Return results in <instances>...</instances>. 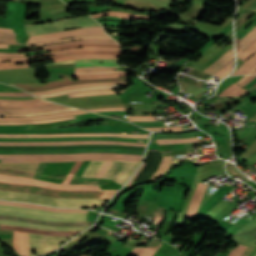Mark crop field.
Wrapping results in <instances>:
<instances>
[{"label":"crop field","instance_id":"crop-field-48","mask_svg":"<svg viewBox=\"0 0 256 256\" xmlns=\"http://www.w3.org/2000/svg\"><path fill=\"white\" fill-rule=\"evenodd\" d=\"M111 161H105L104 165L102 166L100 172L98 173L97 177H103L104 173L106 172L108 166L110 165Z\"/></svg>","mask_w":256,"mask_h":256},{"label":"crop field","instance_id":"crop-field-38","mask_svg":"<svg viewBox=\"0 0 256 256\" xmlns=\"http://www.w3.org/2000/svg\"><path fill=\"white\" fill-rule=\"evenodd\" d=\"M71 118H75V116L59 118V119H52V120H44V121H33V122H0V124H35V123H46V122L71 119Z\"/></svg>","mask_w":256,"mask_h":256},{"label":"crop field","instance_id":"crop-field-45","mask_svg":"<svg viewBox=\"0 0 256 256\" xmlns=\"http://www.w3.org/2000/svg\"><path fill=\"white\" fill-rule=\"evenodd\" d=\"M246 246L238 245L234 250L231 251L229 256H241Z\"/></svg>","mask_w":256,"mask_h":256},{"label":"crop field","instance_id":"crop-field-11","mask_svg":"<svg viewBox=\"0 0 256 256\" xmlns=\"http://www.w3.org/2000/svg\"><path fill=\"white\" fill-rule=\"evenodd\" d=\"M83 46L119 47V45L115 41L80 40V41L41 46L36 48L56 51L64 48L83 47Z\"/></svg>","mask_w":256,"mask_h":256},{"label":"crop field","instance_id":"crop-field-12","mask_svg":"<svg viewBox=\"0 0 256 256\" xmlns=\"http://www.w3.org/2000/svg\"><path fill=\"white\" fill-rule=\"evenodd\" d=\"M57 136H123L148 138V134H116V133H74V134H26V135H12L0 134V137H57Z\"/></svg>","mask_w":256,"mask_h":256},{"label":"crop field","instance_id":"crop-field-32","mask_svg":"<svg viewBox=\"0 0 256 256\" xmlns=\"http://www.w3.org/2000/svg\"><path fill=\"white\" fill-rule=\"evenodd\" d=\"M16 34L0 32V43L3 44H18L14 37Z\"/></svg>","mask_w":256,"mask_h":256},{"label":"crop field","instance_id":"crop-field-4","mask_svg":"<svg viewBox=\"0 0 256 256\" xmlns=\"http://www.w3.org/2000/svg\"><path fill=\"white\" fill-rule=\"evenodd\" d=\"M0 214L18 215L51 221H86V213L46 212L10 206H0Z\"/></svg>","mask_w":256,"mask_h":256},{"label":"crop field","instance_id":"crop-field-55","mask_svg":"<svg viewBox=\"0 0 256 256\" xmlns=\"http://www.w3.org/2000/svg\"><path fill=\"white\" fill-rule=\"evenodd\" d=\"M254 249V246L249 245L247 249L244 251L242 256H248V254Z\"/></svg>","mask_w":256,"mask_h":256},{"label":"crop field","instance_id":"crop-field-7","mask_svg":"<svg viewBox=\"0 0 256 256\" xmlns=\"http://www.w3.org/2000/svg\"><path fill=\"white\" fill-rule=\"evenodd\" d=\"M126 80V77L113 78V79H95V80H79L73 81L72 76L62 77V80H57L49 83H14L11 85L18 86L27 91H36V90H47L55 87H61L66 85L86 83V82H112V81H123Z\"/></svg>","mask_w":256,"mask_h":256},{"label":"crop field","instance_id":"crop-field-52","mask_svg":"<svg viewBox=\"0 0 256 256\" xmlns=\"http://www.w3.org/2000/svg\"><path fill=\"white\" fill-rule=\"evenodd\" d=\"M22 67H29V65L25 64V65L4 66V67H0V69H11V68H22Z\"/></svg>","mask_w":256,"mask_h":256},{"label":"crop field","instance_id":"crop-field-36","mask_svg":"<svg viewBox=\"0 0 256 256\" xmlns=\"http://www.w3.org/2000/svg\"><path fill=\"white\" fill-rule=\"evenodd\" d=\"M158 144H166V143H181V142H198L196 137L188 138V139H168V140H156Z\"/></svg>","mask_w":256,"mask_h":256},{"label":"crop field","instance_id":"crop-field-41","mask_svg":"<svg viewBox=\"0 0 256 256\" xmlns=\"http://www.w3.org/2000/svg\"><path fill=\"white\" fill-rule=\"evenodd\" d=\"M53 54H59V53L51 52V53L40 54V55H34V56H28V57H22V58H4V59H0V61H5V60H10V61H15V60H28V59H30V58L41 57V56H45V55H53Z\"/></svg>","mask_w":256,"mask_h":256},{"label":"crop field","instance_id":"crop-field-21","mask_svg":"<svg viewBox=\"0 0 256 256\" xmlns=\"http://www.w3.org/2000/svg\"><path fill=\"white\" fill-rule=\"evenodd\" d=\"M233 59V49L229 50L224 56L218 59L216 62L207 67L204 72L208 73H216L220 69H222L225 65H227Z\"/></svg>","mask_w":256,"mask_h":256},{"label":"crop field","instance_id":"crop-field-17","mask_svg":"<svg viewBox=\"0 0 256 256\" xmlns=\"http://www.w3.org/2000/svg\"><path fill=\"white\" fill-rule=\"evenodd\" d=\"M0 205L23 206V207H29V208L38 209V210L58 211V212H87V210H83V209H58V208H53L48 206L10 202V201H0Z\"/></svg>","mask_w":256,"mask_h":256},{"label":"crop field","instance_id":"crop-field-46","mask_svg":"<svg viewBox=\"0 0 256 256\" xmlns=\"http://www.w3.org/2000/svg\"><path fill=\"white\" fill-rule=\"evenodd\" d=\"M29 125H0V129H27Z\"/></svg>","mask_w":256,"mask_h":256},{"label":"crop field","instance_id":"crop-field-24","mask_svg":"<svg viewBox=\"0 0 256 256\" xmlns=\"http://www.w3.org/2000/svg\"><path fill=\"white\" fill-rule=\"evenodd\" d=\"M108 15L119 16V17L131 19V20H148L149 19V17L147 16H139V15H133V14H127V13H121V12H105L100 14H93L92 16L94 18H98V17H104Z\"/></svg>","mask_w":256,"mask_h":256},{"label":"crop field","instance_id":"crop-field-3","mask_svg":"<svg viewBox=\"0 0 256 256\" xmlns=\"http://www.w3.org/2000/svg\"><path fill=\"white\" fill-rule=\"evenodd\" d=\"M0 199L31 202L35 204L49 205L54 207H88L101 206L105 204V200L101 199H60L32 194L12 193L6 191H0Z\"/></svg>","mask_w":256,"mask_h":256},{"label":"crop field","instance_id":"crop-field-33","mask_svg":"<svg viewBox=\"0 0 256 256\" xmlns=\"http://www.w3.org/2000/svg\"><path fill=\"white\" fill-rule=\"evenodd\" d=\"M254 52H256V41L253 42L248 48H246L240 55L237 57L241 58L242 60L248 59Z\"/></svg>","mask_w":256,"mask_h":256},{"label":"crop field","instance_id":"crop-field-71","mask_svg":"<svg viewBox=\"0 0 256 256\" xmlns=\"http://www.w3.org/2000/svg\"><path fill=\"white\" fill-rule=\"evenodd\" d=\"M256 256V255H255Z\"/></svg>","mask_w":256,"mask_h":256},{"label":"crop field","instance_id":"crop-field-20","mask_svg":"<svg viewBox=\"0 0 256 256\" xmlns=\"http://www.w3.org/2000/svg\"><path fill=\"white\" fill-rule=\"evenodd\" d=\"M0 229H13V230H18V231L40 233V234H46V235H51V236L75 235L78 232H80V231H74V232H52V231H46V230L29 229V228H23V227H17V226H9V225H0Z\"/></svg>","mask_w":256,"mask_h":256},{"label":"crop field","instance_id":"crop-field-53","mask_svg":"<svg viewBox=\"0 0 256 256\" xmlns=\"http://www.w3.org/2000/svg\"><path fill=\"white\" fill-rule=\"evenodd\" d=\"M82 161H78V162H75L74 166L72 167V169L70 170L71 173H74L78 170V168L80 167Z\"/></svg>","mask_w":256,"mask_h":256},{"label":"crop field","instance_id":"crop-field-5","mask_svg":"<svg viewBox=\"0 0 256 256\" xmlns=\"http://www.w3.org/2000/svg\"><path fill=\"white\" fill-rule=\"evenodd\" d=\"M101 26L93 18L86 16L80 18L65 19L57 22L25 26L28 36L62 31L73 27Z\"/></svg>","mask_w":256,"mask_h":256},{"label":"crop field","instance_id":"crop-field-35","mask_svg":"<svg viewBox=\"0 0 256 256\" xmlns=\"http://www.w3.org/2000/svg\"><path fill=\"white\" fill-rule=\"evenodd\" d=\"M80 50H110V51H120V48H101V47H90V48H73V49H65L57 52L65 53L71 51H80Z\"/></svg>","mask_w":256,"mask_h":256},{"label":"crop field","instance_id":"crop-field-58","mask_svg":"<svg viewBox=\"0 0 256 256\" xmlns=\"http://www.w3.org/2000/svg\"><path fill=\"white\" fill-rule=\"evenodd\" d=\"M79 66H95V65H92L91 63H79V64H75V67H79Z\"/></svg>","mask_w":256,"mask_h":256},{"label":"crop field","instance_id":"crop-field-27","mask_svg":"<svg viewBox=\"0 0 256 256\" xmlns=\"http://www.w3.org/2000/svg\"><path fill=\"white\" fill-rule=\"evenodd\" d=\"M256 39V27L237 45V55Z\"/></svg>","mask_w":256,"mask_h":256},{"label":"crop field","instance_id":"crop-field-19","mask_svg":"<svg viewBox=\"0 0 256 256\" xmlns=\"http://www.w3.org/2000/svg\"><path fill=\"white\" fill-rule=\"evenodd\" d=\"M126 84V81L124 82H112V83H86V84H79V85H72L68 87H63L55 90H48V91H40V92H32L34 95H41V94H50V93H56L64 90H70V89H76V88H82V87H90V86H105V85H121Z\"/></svg>","mask_w":256,"mask_h":256},{"label":"crop field","instance_id":"crop-field-49","mask_svg":"<svg viewBox=\"0 0 256 256\" xmlns=\"http://www.w3.org/2000/svg\"><path fill=\"white\" fill-rule=\"evenodd\" d=\"M81 57L86 58H110V59H117L118 56H103V55H83Z\"/></svg>","mask_w":256,"mask_h":256},{"label":"crop field","instance_id":"crop-field-10","mask_svg":"<svg viewBox=\"0 0 256 256\" xmlns=\"http://www.w3.org/2000/svg\"><path fill=\"white\" fill-rule=\"evenodd\" d=\"M91 34L106 35L102 27L78 28V29L69 30L65 32L30 37L26 44H30L34 42H45V41L64 38V37H71V36H78V35H91Z\"/></svg>","mask_w":256,"mask_h":256},{"label":"crop field","instance_id":"crop-field-72","mask_svg":"<svg viewBox=\"0 0 256 256\" xmlns=\"http://www.w3.org/2000/svg\"><path fill=\"white\" fill-rule=\"evenodd\" d=\"M86 256V255H85Z\"/></svg>","mask_w":256,"mask_h":256},{"label":"crop field","instance_id":"crop-field-64","mask_svg":"<svg viewBox=\"0 0 256 256\" xmlns=\"http://www.w3.org/2000/svg\"><path fill=\"white\" fill-rule=\"evenodd\" d=\"M29 50H37V49H34V48H31V49H18V52H21V51H29Z\"/></svg>","mask_w":256,"mask_h":256},{"label":"crop field","instance_id":"crop-field-26","mask_svg":"<svg viewBox=\"0 0 256 256\" xmlns=\"http://www.w3.org/2000/svg\"><path fill=\"white\" fill-rule=\"evenodd\" d=\"M104 161H91L82 176L96 177Z\"/></svg>","mask_w":256,"mask_h":256},{"label":"crop field","instance_id":"crop-field-28","mask_svg":"<svg viewBox=\"0 0 256 256\" xmlns=\"http://www.w3.org/2000/svg\"><path fill=\"white\" fill-rule=\"evenodd\" d=\"M122 90H103V91H93V92H82V93H72L69 94L70 98L74 97H84V96H94V95H102V94H110V93H121Z\"/></svg>","mask_w":256,"mask_h":256},{"label":"crop field","instance_id":"crop-field-14","mask_svg":"<svg viewBox=\"0 0 256 256\" xmlns=\"http://www.w3.org/2000/svg\"><path fill=\"white\" fill-rule=\"evenodd\" d=\"M0 219H9V220H17V221H25L31 223H38L44 225H57V226H82V225H92L94 221L88 222H50L38 219H30V218H23L17 216H9V215H0Z\"/></svg>","mask_w":256,"mask_h":256},{"label":"crop field","instance_id":"crop-field-63","mask_svg":"<svg viewBox=\"0 0 256 256\" xmlns=\"http://www.w3.org/2000/svg\"><path fill=\"white\" fill-rule=\"evenodd\" d=\"M170 1L182 2V3H187L188 2V0H170Z\"/></svg>","mask_w":256,"mask_h":256},{"label":"crop field","instance_id":"crop-field-66","mask_svg":"<svg viewBox=\"0 0 256 256\" xmlns=\"http://www.w3.org/2000/svg\"><path fill=\"white\" fill-rule=\"evenodd\" d=\"M249 121H256V115L252 117Z\"/></svg>","mask_w":256,"mask_h":256},{"label":"crop field","instance_id":"crop-field-29","mask_svg":"<svg viewBox=\"0 0 256 256\" xmlns=\"http://www.w3.org/2000/svg\"><path fill=\"white\" fill-rule=\"evenodd\" d=\"M256 64V53L252 55L239 69H237L231 76L246 74L247 71Z\"/></svg>","mask_w":256,"mask_h":256},{"label":"crop field","instance_id":"crop-field-69","mask_svg":"<svg viewBox=\"0 0 256 256\" xmlns=\"http://www.w3.org/2000/svg\"><path fill=\"white\" fill-rule=\"evenodd\" d=\"M255 73H256V72H255ZM255 73H254V74H255Z\"/></svg>","mask_w":256,"mask_h":256},{"label":"crop field","instance_id":"crop-field-61","mask_svg":"<svg viewBox=\"0 0 256 256\" xmlns=\"http://www.w3.org/2000/svg\"><path fill=\"white\" fill-rule=\"evenodd\" d=\"M255 70H256V65L252 67L247 74H253Z\"/></svg>","mask_w":256,"mask_h":256},{"label":"crop field","instance_id":"crop-field-18","mask_svg":"<svg viewBox=\"0 0 256 256\" xmlns=\"http://www.w3.org/2000/svg\"><path fill=\"white\" fill-rule=\"evenodd\" d=\"M14 249L17 253L28 256L27 254V234L23 232H13Z\"/></svg>","mask_w":256,"mask_h":256},{"label":"crop field","instance_id":"crop-field-56","mask_svg":"<svg viewBox=\"0 0 256 256\" xmlns=\"http://www.w3.org/2000/svg\"><path fill=\"white\" fill-rule=\"evenodd\" d=\"M90 62H115L117 63L116 60H94V59H88Z\"/></svg>","mask_w":256,"mask_h":256},{"label":"crop field","instance_id":"crop-field-9","mask_svg":"<svg viewBox=\"0 0 256 256\" xmlns=\"http://www.w3.org/2000/svg\"><path fill=\"white\" fill-rule=\"evenodd\" d=\"M138 165L139 163L137 162L112 161L104 177L112 178L115 181L124 184Z\"/></svg>","mask_w":256,"mask_h":256},{"label":"crop field","instance_id":"crop-field-1","mask_svg":"<svg viewBox=\"0 0 256 256\" xmlns=\"http://www.w3.org/2000/svg\"><path fill=\"white\" fill-rule=\"evenodd\" d=\"M0 189L60 198L110 199L117 190H100L95 185H64L46 181L0 175Z\"/></svg>","mask_w":256,"mask_h":256},{"label":"crop field","instance_id":"crop-field-51","mask_svg":"<svg viewBox=\"0 0 256 256\" xmlns=\"http://www.w3.org/2000/svg\"><path fill=\"white\" fill-rule=\"evenodd\" d=\"M0 95H10V96H31L26 92H19V93H0Z\"/></svg>","mask_w":256,"mask_h":256},{"label":"crop field","instance_id":"crop-field-15","mask_svg":"<svg viewBox=\"0 0 256 256\" xmlns=\"http://www.w3.org/2000/svg\"><path fill=\"white\" fill-rule=\"evenodd\" d=\"M205 188L206 185L198 183L185 218L191 219L197 213Z\"/></svg>","mask_w":256,"mask_h":256},{"label":"crop field","instance_id":"crop-field-43","mask_svg":"<svg viewBox=\"0 0 256 256\" xmlns=\"http://www.w3.org/2000/svg\"><path fill=\"white\" fill-rule=\"evenodd\" d=\"M116 68H108V67H81L75 68V71H96V70H110Z\"/></svg>","mask_w":256,"mask_h":256},{"label":"crop field","instance_id":"crop-field-16","mask_svg":"<svg viewBox=\"0 0 256 256\" xmlns=\"http://www.w3.org/2000/svg\"><path fill=\"white\" fill-rule=\"evenodd\" d=\"M0 223L1 224H9V225H18V226H24V227H30V228L53 230V231L82 230V229H85L86 227H88V226H85V227H54V226L35 225V224H29V223H24V222L7 221V220H0Z\"/></svg>","mask_w":256,"mask_h":256},{"label":"crop field","instance_id":"crop-field-2","mask_svg":"<svg viewBox=\"0 0 256 256\" xmlns=\"http://www.w3.org/2000/svg\"><path fill=\"white\" fill-rule=\"evenodd\" d=\"M28 158V162H57L74 160H129L140 162L143 155L88 153V154H37V155H0ZM0 157L1 162H27V159Z\"/></svg>","mask_w":256,"mask_h":256},{"label":"crop field","instance_id":"crop-field-22","mask_svg":"<svg viewBox=\"0 0 256 256\" xmlns=\"http://www.w3.org/2000/svg\"><path fill=\"white\" fill-rule=\"evenodd\" d=\"M255 75H251L249 78H247L243 83H241L239 86L236 84H231L229 87H227L219 96L223 95H231V96H240L241 94L247 92L242 87L248 83L250 80H252Z\"/></svg>","mask_w":256,"mask_h":256},{"label":"crop field","instance_id":"crop-field-59","mask_svg":"<svg viewBox=\"0 0 256 256\" xmlns=\"http://www.w3.org/2000/svg\"><path fill=\"white\" fill-rule=\"evenodd\" d=\"M254 83H256V78H254L251 82H249L246 86H244V88H249L250 86H252Z\"/></svg>","mask_w":256,"mask_h":256},{"label":"crop field","instance_id":"crop-field-6","mask_svg":"<svg viewBox=\"0 0 256 256\" xmlns=\"http://www.w3.org/2000/svg\"><path fill=\"white\" fill-rule=\"evenodd\" d=\"M72 236L64 237H50L46 235H32L28 236V253L33 256L32 250L36 251L35 255L46 254L56 250L58 247L57 242L67 240Z\"/></svg>","mask_w":256,"mask_h":256},{"label":"crop field","instance_id":"crop-field-62","mask_svg":"<svg viewBox=\"0 0 256 256\" xmlns=\"http://www.w3.org/2000/svg\"><path fill=\"white\" fill-rule=\"evenodd\" d=\"M250 76V75H248ZM248 76H244L243 78H241L238 82H236V84H240L241 82H243Z\"/></svg>","mask_w":256,"mask_h":256},{"label":"crop field","instance_id":"crop-field-23","mask_svg":"<svg viewBox=\"0 0 256 256\" xmlns=\"http://www.w3.org/2000/svg\"><path fill=\"white\" fill-rule=\"evenodd\" d=\"M79 39H112V38H110L108 36H101V35L78 36V37L54 40V41L45 42V43L32 44V45H28V46L36 47V46H41V45H46V44L67 42V41H73V40H79Z\"/></svg>","mask_w":256,"mask_h":256},{"label":"crop field","instance_id":"crop-field-34","mask_svg":"<svg viewBox=\"0 0 256 256\" xmlns=\"http://www.w3.org/2000/svg\"><path fill=\"white\" fill-rule=\"evenodd\" d=\"M63 56H69V55H64V54H59L51 57H41L29 61H16V62H8V63H0V66L4 65H10V64H22V63H28V62H34V61H41V60H47V59H53V58H58V57H63Z\"/></svg>","mask_w":256,"mask_h":256},{"label":"crop field","instance_id":"crop-field-25","mask_svg":"<svg viewBox=\"0 0 256 256\" xmlns=\"http://www.w3.org/2000/svg\"><path fill=\"white\" fill-rule=\"evenodd\" d=\"M70 108L62 105L52 106L47 108H38V109H0V112H41V111H50L57 109Z\"/></svg>","mask_w":256,"mask_h":256},{"label":"crop field","instance_id":"crop-field-67","mask_svg":"<svg viewBox=\"0 0 256 256\" xmlns=\"http://www.w3.org/2000/svg\"><path fill=\"white\" fill-rule=\"evenodd\" d=\"M0 48H8V45H0Z\"/></svg>","mask_w":256,"mask_h":256},{"label":"crop field","instance_id":"crop-field-65","mask_svg":"<svg viewBox=\"0 0 256 256\" xmlns=\"http://www.w3.org/2000/svg\"><path fill=\"white\" fill-rule=\"evenodd\" d=\"M229 252H230V250L226 254L219 252L217 256H227L229 254Z\"/></svg>","mask_w":256,"mask_h":256},{"label":"crop field","instance_id":"crop-field-8","mask_svg":"<svg viewBox=\"0 0 256 256\" xmlns=\"http://www.w3.org/2000/svg\"><path fill=\"white\" fill-rule=\"evenodd\" d=\"M58 105L36 97H0V108H38Z\"/></svg>","mask_w":256,"mask_h":256},{"label":"crop field","instance_id":"crop-field-44","mask_svg":"<svg viewBox=\"0 0 256 256\" xmlns=\"http://www.w3.org/2000/svg\"><path fill=\"white\" fill-rule=\"evenodd\" d=\"M232 68H233V60L226 67H224L222 70L217 72L215 75L224 77L232 70Z\"/></svg>","mask_w":256,"mask_h":256},{"label":"crop field","instance_id":"crop-field-70","mask_svg":"<svg viewBox=\"0 0 256 256\" xmlns=\"http://www.w3.org/2000/svg\"><path fill=\"white\" fill-rule=\"evenodd\" d=\"M89 256V255H88Z\"/></svg>","mask_w":256,"mask_h":256},{"label":"crop field","instance_id":"crop-field-60","mask_svg":"<svg viewBox=\"0 0 256 256\" xmlns=\"http://www.w3.org/2000/svg\"><path fill=\"white\" fill-rule=\"evenodd\" d=\"M145 165V163H143V165H142V167H141V169L143 168V166ZM140 169V170H141ZM140 170L135 174V176L130 180V182L127 184V186H129L130 187V185H131V183H132V181H133V179L136 177V175L140 172Z\"/></svg>","mask_w":256,"mask_h":256},{"label":"crop field","instance_id":"crop-field-68","mask_svg":"<svg viewBox=\"0 0 256 256\" xmlns=\"http://www.w3.org/2000/svg\"><path fill=\"white\" fill-rule=\"evenodd\" d=\"M254 85H256V84H254Z\"/></svg>","mask_w":256,"mask_h":256},{"label":"crop field","instance_id":"crop-field-42","mask_svg":"<svg viewBox=\"0 0 256 256\" xmlns=\"http://www.w3.org/2000/svg\"><path fill=\"white\" fill-rule=\"evenodd\" d=\"M0 31L13 32L12 28L10 27L6 19L0 18Z\"/></svg>","mask_w":256,"mask_h":256},{"label":"crop field","instance_id":"crop-field-13","mask_svg":"<svg viewBox=\"0 0 256 256\" xmlns=\"http://www.w3.org/2000/svg\"><path fill=\"white\" fill-rule=\"evenodd\" d=\"M75 144H119L145 146L146 144L111 141H72V142H0V145H75Z\"/></svg>","mask_w":256,"mask_h":256},{"label":"crop field","instance_id":"crop-field-39","mask_svg":"<svg viewBox=\"0 0 256 256\" xmlns=\"http://www.w3.org/2000/svg\"><path fill=\"white\" fill-rule=\"evenodd\" d=\"M120 52H109V51H91V52H72L66 53L71 55H83V54H104V55H119Z\"/></svg>","mask_w":256,"mask_h":256},{"label":"crop field","instance_id":"crop-field-37","mask_svg":"<svg viewBox=\"0 0 256 256\" xmlns=\"http://www.w3.org/2000/svg\"><path fill=\"white\" fill-rule=\"evenodd\" d=\"M127 73L122 74H110V75H89V76H75L77 79H92V78H111V77H120L126 76Z\"/></svg>","mask_w":256,"mask_h":256},{"label":"crop field","instance_id":"crop-field-31","mask_svg":"<svg viewBox=\"0 0 256 256\" xmlns=\"http://www.w3.org/2000/svg\"><path fill=\"white\" fill-rule=\"evenodd\" d=\"M173 159L172 156H164L163 164L159 171L155 174V176L152 179H156L158 176L164 174L169 167H171L170 162Z\"/></svg>","mask_w":256,"mask_h":256},{"label":"crop field","instance_id":"crop-field-47","mask_svg":"<svg viewBox=\"0 0 256 256\" xmlns=\"http://www.w3.org/2000/svg\"><path fill=\"white\" fill-rule=\"evenodd\" d=\"M149 130H169V131H182V127H168V128H147Z\"/></svg>","mask_w":256,"mask_h":256},{"label":"crop field","instance_id":"crop-field-50","mask_svg":"<svg viewBox=\"0 0 256 256\" xmlns=\"http://www.w3.org/2000/svg\"><path fill=\"white\" fill-rule=\"evenodd\" d=\"M20 53H0V57H22Z\"/></svg>","mask_w":256,"mask_h":256},{"label":"crop field","instance_id":"crop-field-54","mask_svg":"<svg viewBox=\"0 0 256 256\" xmlns=\"http://www.w3.org/2000/svg\"><path fill=\"white\" fill-rule=\"evenodd\" d=\"M75 59H83V58L69 56V57H63V58L55 59V61H60V60H75Z\"/></svg>","mask_w":256,"mask_h":256},{"label":"crop field","instance_id":"crop-field-57","mask_svg":"<svg viewBox=\"0 0 256 256\" xmlns=\"http://www.w3.org/2000/svg\"><path fill=\"white\" fill-rule=\"evenodd\" d=\"M95 65H108V66H119V64H113V63H93Z\"/></svg>","mask_w":256,"mask_h":256},{"label":"crop field","instance_id":"crop-field-30","mask_svg":"<svg viewBox=\"0 0 256 256\" xmlns=\"http://www.w3.org/2000/svg\"><path fill=\"white\" fill-rule=\"evenodd\" d=\"M157 249H151L148 247H137L134 248L130 254L134 256H152Z\"/></svg>","mask_w":256,"mask_h":256},{"label":"crop field","instance_id":"crop-field-40","mask_svg":"<svg viewBox=\"0 0 256 256\" xmlns=\"http://www.w3.org/2000/svg\"><path fill=\"white\" fill-rule=\"evenodd\" d=\"M129 121H155V116H128Z\"/></svg>","mask_w":256,"mask_h":256}]
</instances>
